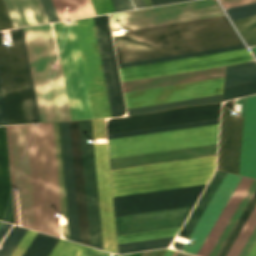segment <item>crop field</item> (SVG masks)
Here are the masks:
<instances>
[{
  "label": "crop field",
  "mask_w": 256,
  "mask_h": 256,
  "mask_svg": "<svg viewBox=\"0 0 256 256\" xmlns=\"http://www.w3.org/2000/svg\"><path fill=\"white\" fill-rule=\"evenodd\" d=\"M42 125L43 127H38ZM42 125H32L38 128H32L31 125L6 126L11 186H15V181L16 186H21L23 223L36 227L37 222V228L24 224L22 226L60 237L58 220L60 209L53 128L52 123ZM15 127H28L36 222L27 128L11 129L15 169L14 181L10 128ZM12 189L17 191L18 197V187H12ZM21 196L19 192L20 209ZM17 197L16 192H12L14 220L15 224L19 225L20 209L18 220Z\"/></svg>",
  "instance_id": "obj_1"
},
{
  "label": "crop field",
  "mask_w": 256,
  "mask_h": 256,
  "mask_svg": "<svg viewBox=\"0 0 256 256\" xmlns=\"http://www.w3.org/2000/svg\"><path fill=\"white\" fill-rule=\"evenodd\" d=\"M232 27V26H231ZM225 16L132 31L113 38L118 63L240 45Z\"/></svg>",
  "instance_id": "obj_2"
},
{
  "label": "crop field",
  "mask_w": 256,
  "mask_h": 256,
  "mask_svg": "<svg viewBox=\"0 0 256 256\" xmlns=\"http://www.w3.org/2000/svg\"><path fill=\"white\" fill-rule=\"evenodd\" d=\"M23 30L41 122L71 120L50 24Z\"/></svg>",
  "instance_id": "obj_3"
},
{
  "label": "crop field",
  "mask_w": 256,
  "mask_h": 256,
  "mask_svg": "<svg viewBox=\"0 0 256 256\" xmlns=\"http://www.w3.org/2000/svg\"><path fill=\"white\" fill-rule=\"evenodd\" d=\"M216 156L111 171L113 197L207 183Z\"/></svg>",
  "instance_id": "obj_4"
},
{
  "label": "crop field",
  "mask_w": 256,
  "mask_h": 256,
  "mask_svg": "<svg viewBox=\"0 0 256 256\" xmlns=\"http://www.w3.org/2000/svg\"><path fill=\"white\" fill-rule=\"evenodd\" d=\"M12 46L2 44L0 34V78L9 124L39 123L22 28L10 31Z\"/></svg>",
  "instance_id": "obj_5"
},
{
  "label": "crop field",
  "mask_w": 256,
  "mask_h": 256,
  "mask_svg": "<svg viewBox=\"0 0 256 256\" xmlns=\"http://www.w3.org/2000/svg\"><path fill=\"white\" fill-rule=\"evenodd\" d=\"M219 124L111 139L110 158L217 143Z\"/></svg>",
  "instance_id": "obj_6"
},
{
  "label": "crop field",
  "mask_w": 256,
  "mask_h": 256,
  "mask_svg": "<svg viewBox=\"0 0 256 256\" xmlns=\"http://www.w3.org/2000/svg\"><path fill=\"white\" fill-rule=\"evenodd\" d=\"M65 26L74 25V20L64 22ZM63 22L55 23L54 31L58 52L67 92V98L72 120L92 118L77 39L76 28L70 26L65 34L66 39L60 38L67 27Z\"/></svg>",
  "instance_id": "obj_7"
},
{
  "label": "crop field",
  "mask_w": 256,
  "mask_h": 256,
  "mask_svg": "<svg viewBox=\"0 0 256 256\" xmlns=\"http://www.w3.org/2000/svg\"><path fill=\"white\" fill-rule=\"evenodd\" d=\"M223 15L215 0H201L109 15L112 31L132 30Z\"/></svg>",
  "instance_id": "obj_8"
},
{
  "label": "crop field",
  "mask_w": 256,
  "mask_h": 256,
  "mask_svg": "<svg viewBox=\"0 0 256 256\" xmlns=\"http://www.w3.org/2000/svg\"><path fill=\"white\" fill-rule=\"evenodd\" d=\"M93 118L111 117L92 17L75 20Z\"/></svg>",
  "instance_id": "obj_9"
},
{
  "label": "crop field",
  "mask_w": 256,
  "mask_h": 256,
  "mask_svg": "<svg viewBox=\"0 0 256 256\" xmlns=\"http://www.w3.org/2000/svg\"><path fill=\"white\" fill-rule=\"evenodd\" d=\"M247 49L119 69L122 82L227 66L252 60Z\"/></svg>",
  "instance_id": "obj_10"
},
{
  "label": "crop field",
  "mask_w": 256,
  "mask_h": 256,
  "mask_svg": "<svg viewBox=\"0 0 256 256\" xmlns=\"http://www.w3.org/2000/svg\"><path fill=\"white\" fill-rule=\"evenodd\" d=\"M221 104L183 107L156 113L110 119L107 133H118L219 118Z\"/></svg>",
  "instance_id": "obj_11"
},
{
  "label": "crop field",
  "mask_w": 256,
  "mask_h": 256,
  "mask_svg": "<svg viewBox=\"0 0 256 256\" xmlns=\"http://www.w3.org/2000/svg\"><path fill=\"white\" fill-rule=\"evenodd\" d=\"M204 186L113 198L115 216L194 205Z\"/></svg>",
  "instance_id": "obj_12"
},
{
  "label": "crop field",
  "mask_w": 256,
  "mask_h": 256,
  "mask_svg": "<svg viewBox=\"0 0 256 256\" xmlns=\"http://www.w3.org/2000/svg\"><path fill=\"white\" fill-rule=\"evenodd\" d=\"M223 77L124 93L126 107H136L222 92Z\"/></svg>",
  "instance_id": "obj_13"
},
{
  "label": "crop field",
  "mask_w": 256,
  "mask_h": 256,
  "mask_svg": "<svg viewBox=\"0 0 256 256\" xmlns=\"http://www.w3.org/2000/svg\"><path fill=\"white\" fill-rule=\"evenodd\" d=\"M91 246L103 250L91 120L79 121Z\"/></svg>",
  "instance_id": "obj_14"
},
{
  "label": "crop field",
  "mask_w": 256,
  "mask_h": 256,
  "mask_svg": "<svg viewBox=\"0 0 256 256\" xmlns=\"http://www.w3.org/2000/svg\"><path fill=\"white\" fill-rule=\"evenodd\" d=\"M112 117L125 113L107 15L93 17Z\"/></svg>",
  "instance_id": "obj_15"
},
{
  "label": "crop field",
  "mask_w": 256,
  "mask_h": 256,
  "mask_svg": "<svg viewBox=\"0 0 256 256\" xmlns=\"http://www.w3.org/2000/svg\"><path fill=\"white\" fill-rule=\"evenodd\" d=\"M233 100L222 107L217 169L238 174L243 118L232 117Z\"/></svg>",
  "instance_id": "obj_16"
},
{
  "label": "crop field",
  "mask_w": 256,
  "mask_h": 256,
  "mask_svg": "<svg viewBox=\"0 0 256 256\" xmlns=\"http://www.w3.org/2000/svg\"><path fill=\"white\" fill-rule=\"evenodd\" d=\"M192 206L115 217L117 235L182 226Z\"/></svg>",
  "instance_id": "obj_17"
},
{
  "label": "crop field",
  "mask_w": 256,
  "mask_h": 256,
  "mask_svg": "<svg viewBox=\"0 0 256 256\" xmlns=\"http://www.w3.org/2000/svg\"><path fill=\"white\" fill-rule=\"evenodd\" d=\"M104 250L116 253L106 144H94Z\"/></svg>",
  "instance_id": "obj_18"
},
{
  "label": "crop field",
  "mask_w": 256,
  "mask_h": 256,
  "mask_svg": "<svg viewBox=\"0 0 256 256\" xmlns=\"http://www.w3.org/2000/svg\"><path fill=\"white\" fill-rule=\"evenodd\" d=\"M241 177L226 173L220 186L215 192L201 219L196 225L189 239L195 241L193 245H184L183 250L197 253L207 234L230 198Z\"/></svg>",
  "instance_id": "obj_19"
},
{
  "label": "crop field",
  "mask_w": 256,
  "mask_h": 256,
  "mask_svg": "<svg viewBox=\"0 0 256 256\" xmlns=\"http://www.w3.org/2000/svg\"><path fill=\"white\" fill-rule=\"evenodd\" d=\"M14 28L48 22L39 0H3ZM0 0V30L13 28Z\"/></svg>",
  "instance_id": "obj_20"
},
{
  "label": "crop field",
  "mask_w": 256,
  "mask_h": 256,
  "mask_svg": "<svg viewBox=\"0 0 256 256\" xmlns=\"http://www.w3.org/2000/svg\"><path fill=\"white\" fill-rule=\"evenodd\" d=\"M239 174L256 178V96L246 98Z\"/></svg>",
  "instance_id": "obj_21"
},
{
  "label": "crop field",
  "mask_w": 256,
  "mask_h": 256,
  "mask_svg": "<svg viewBox=\"0 0 256 256\" xmlns=\"http://www.w3.org/2000/svg\"><path fill=\"white\" fill-rule=\"evenodd\" d=\"M217 144L110 159V167L121 168L216 154Z\"/></svg>",
  "instance_id": "obj_22"
},
{
  "label": "crop field",
  "mask_w": 256,
  "mask_h": 256,
  "mask_svg": "<svg viewBox=\"0 0 256 256\" xmlns=\"http://www.w3.org/2000/svg\"><path fill=\"white\" fill-rule=\"evenodd\" d=\"M81 243L90 246L78 121L70 122Z\"/></svg>",
  "instance_id": "obj_23"
},
{
  "label": "crop field",
  "mask_w": 256,
  "mask_h": 256,
  "mask_svg": "<svg viewBox=\"0 0 256 256\" xmlns=\"http://www.w3.org/2000/svg\"><path fill=\"white\" fill-rule=\"evenodd\" d=\"M71 240L80 243L69 122H60Z\"/></svg>",
  "instance_id": "obj_24"
},
{
  "label": "crop field",
  "mask_w": 256,
  "mask_h": 256,
  "mask_svg": "<svg viewBox=\"0 0 256 256\" xmlns=\"http://www.w3.org/2000/svg\"><path fill=\"white\" fill-rule=\"evenodd\" d=\"M224 67L122 83L124 92L223 76Z\"/></svg>",
  "instance_id": "obj_25"
},
{
  "label": "crop field",
  "mask_w": 256,
  "mask_h": 256,
  "mask_svg": "<svg viewBox=\"0 0 256 256\" xmlns=\"http://www.w3.org/2000/svg\"><path fill=\"white\" fill-rule=\"evenodd\" d=\"M251 182L252 179L242 177L237 188L235 189L224 210L216 221L214 227L212 228L201 249L199 250L197 256H208Z\"/></svg>",
  "instance_id": "obj_26"
},
{
  "label": "crop field",
  "mask_w": 256,
  "mask_h": 256,
  "mask_svg": "<svg viewBox=\"0 0 256 256\" xmlns=\"http://www.w3.org/2000/svg\"><path fill=\"white\" fill-rule=\"evenodd\" d=\"M0 220L12 223L3 126H0Z\"/></svg>",
  "instance_id": "obj_27"
},
{
  "label": "crop field",
  "mask_w": 256,
  "mask_h": 256,
  "mask_svg": "<svg viewBox=\"0 0 256 256\" xmlns=\"http://www.w3.org/2000/svg\"><path fill=\"white\" fill-rule=\"evenodd\" d=\"M224 175L225 173L216 171L215 175L213 176L212 180L208 184L201 198L197 202L190 216L188 217L182 229L178 233V236L188 238L189 234L191 233L193 227L195 226L196 222L198 221L199 217L204 211L206 205L208 204L209 200L211 199L212 195L214 194Z\"/></svg>",
  "instance_id": "obj_28"
},
{
  "label": "crop field",
  "mask_w": 256,
  "mask_h": 256,
  "mask_svg": "<svg viewBox=\"0 0 256 256\" xmlns=\"http://www.w3.org/2000/svg\"><path fill=\"white\" fill-rule=\"evenodd\" d=\"M53 128L59 185L60 209L61 214H63L64 217H67V225L61 226V229L63 237L70 239L59 122L53 123Z\"/></svg>",
  "instance_id": "obj_29"
},
{
  "label": "crop field",
  "mask_w": 256,
  "mask_h": 256,
  "mask_svg": "<svg viewBox=\"0 0 256 256\" xmlns=\"http://www.w3.org/2000/svg\"><path fill=\"white\" fill-rule=\"evenodd\" d=\"M256 81V62L226 67L224 88Z\"/></svg>",
  "instance_id": "obj_30"
},
{
  "label": "crop field",
  "mask_w": 256,
  "mask_h": 256,
  "mask_svg": "<svg viewBox=\"0 0 256 256\" xmlns=\"http://www.w3.org/2000/svg\"><path fill=\"white\" fill-rule=\"evenodd\" d=\"M221 102V94L127 109L128 115L149 113L193 104Z\"/></svg>",
  "instance_id": "obj_31"
},
{
  "label": "crop field",
  "mask_w": 256,
  "mask_h": 256,
  "mask_svg": "<svg viewBox=\"0 0 256 256\" xmlns=\"http://www.w3.org/2000/svg\"><path fill=\"white\" fill-rule=\"evenodd\" d=\"M52 1L60 20L68 19L65 9L70 19L96 15L90 0H69L70 2H64L63 0ZM68 3H72L73 7H68L65 9H57L56 7V5Z\"/></svg>",
  "instance_id": "obj_32"
},
{
  "label": "crop field",
  "mask_w": 256,
  "mask_h": 256,
  "mask_svg": "<svg viewBox=\"0 0 256 256\" xmlns=\"http://www.w3.org/2000/svg\"><path fill=\"white\" fill-rule=\"evenodd\" d=\"M255 190H256V181L253 180L252 184L250 185L249 189L244 195L242 201L240 202L239 206L237 207L236 211L234 212L233 216L231 217L230 221L228 222L227 226L225 227L224 231L222 232L221 236L219 237L217 243L215 244L209 256H217L222 245L224 244L225 240L227 239L228 235L230 234L231 230L233 229L240 215L244 211L245 207L247 206Z\"/></svg>",
  "instance_id": "obj_33"
},
{
  "label": "crop field",
  "mask_w": 256,
  "mask_h": 256,
  "mask_svg": "<svg viewBox=\"0 0 256 256\" xmlns=\"http://www.w3.org/2000/svg\"><path fill=\"white\" fill-rule=\"evenodd\" d=\"M16 226V225H15ZM11 229L9 234L6 236L4 241L2 242V246L0 248V256H10L11 253L14 251L22 237L27 232V229L15 227ZM11 227L10 224L4 223L2 228L0 229V241L8 231V229Z\"/></svg>",
  "instance_id": "obj_34"
},
{
  "label": "crop field",
  "mask_w": 256,
  "mask_h": 256,
  "mask_svg": "<svg viewBox=\"0 0 256 256\" xmlns=\"http://www.w3.org/2000/svg\"><path fill=\"white\" fill-rule=\"evenodd\" d=\"M39 233H37L22 256H48L59 241V238Z\"/></svg>",
  "instance_id": "obj_35"
},
{
  "label": "crop field",
  "mask_w": 256,
  "mask_h": 256,
  "mask_svg": "<svg viewBox=\"0 0 256 256\" xmlns=\"http://www.w3.org/2000/svg\"><path fill=\"white\" fill-rule=\"evenodd\" d=\"M174 236L118 245L119 253L168 247Z\"/></svg>",
  "instance_id": "obj_36"
},
{
  "label": "crop field",
  "mask_w": 256,
  "mask_h": 256,
  "mask_svg": "<svg viewBox=\"0 0 256 256\" xmlns=\"http://www.w3.org/2000/svg\"><path fill=\"white\" fill-rule=\"evenodd\" d=\"M179 228L180 227L135 233V234L120 235V236H117V242L118 244H121V243L134 242V241H140V240H146V239L172 236V235H176Z\"/></svg>",
  "instance_id": "obj_37"
},
{
  "label": "crop field",
  "mask_w": 256,
  "mask_h": 256,
  "mask_svg": "<svg viewBox=\"0 0 256 256\" xmlns=\"http://www.w3.org/2000/svg\"><path fill=\"white\" fill-rule=\"evenodd\" d=\"M255 204H256V192H255L254 196L252 197L251 201L249 202L248 206L246 207L245 211L241 215L240 219L238 220L237 224L235 225L234 229L232 230L231 234L229 235L228 239L226 240L225 244L223 245L218 256H226L227 255L229 249L231 248L236 237L238 236L240 230L242 229L244 223L246 222V220H247L248 216L250 215L252 209L254 208Z\"/></svg>",
  "instance_id": "obj_38"
},
{
  "label": "crop field",
  "mask_w": 256,
  "mask_h": 256,
  "mask_svg": "<svg viewBox=\"0 0 256 256\" xmlns=\"http://www.w3.org/2000/svg\"><path fill=\"white\" fill-rule=\"evenodd\" d=\"M245 48L244 45L118 64L119 68Z\"/></svg>",
  "instance_id": "obj_39"
},
{
  "label": "crop field",
  "mask_w": 256,
  "mask_h": 256,
  "mask_svg": "<svg viewBox=\"0 0 256 256\" xmlns=\"http://www.w3.org/2000/svg\"><path fill=\"white\" fill-rule=\"evenodd\" d=\"M216 123H219V119L195 122V123H188V124H181V125H174V126H167V127H160V128H153V129H146V130H139V131H132V132H125V133H118V134H111V135H108V139L132 136V135H139V134H146V133H153V132H160V131H167V130H174V129H181V128H188V127H195V126H202V125H209V124H216Z\"/></svg>",
  "instance_id": "obj_40"
},
{
  "label": "crop field",
  "mask_w": 256,
  "mask_h": 256,
  "mask_svg": "<svg viewBox=\"0 0 256 256\" xmlns=\"http://www.w3.org/2000/svg\"><path fill=\"white\" fill-rule=\"evenodd\" d=\"M256 225V206L237 237L227 256H237ZM249 239V238H248ZM246 244V243H245Z\"/></svg>",
  "instance_id": "obj_41"
},
{
  "label": "crop field",
  "mask_w": 256,
  "mask_h": 256,
  "mask_svg": "<svg viewBox=\"0 0 256 256\" xmlns=\"http://www.w3.org/2000/svg\"><path fill=\"white\" fill-rule=\"evenodd\" d=\"M233 23L249 46L256 45V16L234 20Z\"/></svg>",
  "instance_id": "obj_42"
},
{
  "label": "crop field",
  "mask_w": 256,
  "mask_h": 256,
  "mask_svg": "<svg viewBox=\"0 0 256 256\" xmlns=\"http://www.w3.org/2000/svg\"><path fill=\"white\" fill-rule=\"evenodd\" d=\"M86 246L60 239L49 256H81Z\"/></svg>",
  "instance_id": "obj_43"
},
{
  "label": "crop field",
  "mask_w": 256,
  "mask_h": 256,
  "mask_svg": "<svg viewBox=\"0 0 256 256\" xmlns=\"http://www.w3.org/2000/svg\"><path fill=\"white\" fill-rule=\"evenodd\" d=\"M256 93V82L224 89L223 100Z\"/></svg>",
  "instance_id": "obj_44"
},
{
  "label": "crop field",
  "mask_w": 256,
  "mask_h": 256,
  "mask_svg": "<svg viewBox=\"0 0 256 256\" xmlns=\"http://www.w3.org/2000/svg\"><path fill=\"white\" fill-rule=\"evenodd\" d=\"M231 20L256 15V3L226 10Z\"/></svg>",
  "instance_id": "obj_45"
},
{
  "label": "crop field",
  "mask_w": 256,
  "mask_h": 256,
  "mask_svg": "<svg viewBox=\"0 0 256 256\" xmlns=\"http://www.w3.org/2000/svg\"><path fill=\"white\" fill-rule=\"evenodd\" d=\"M115 11L134 9L130 0H111ZM135 8L145 7L142 0H132Z\"/></svg>",
  "instance_id": "obj_46"
},
{
  "label": "crop field",
  "mask_w": 256,
  "mask_h": 256,
  "mask_svg": "<svg viewBox=\"0 0 256 256\" xmlns=\"http://www.w3.org/2000/svg\"><path fill=\"white\" fill-rule=\"evenodd\" d=\"M97 15L115 12L110 0H91Z\"/></svg>",
  "instance_id": "obj_47"
},
{
  "label": "crop field",
  "mask_w": 256,
  "mask_h": 256,
  "mask_svg": "<svg viewBox=\"0 0 256 256\" xmlns=\"http://www.w3.org/2000/svg\"><path fill=\"white\" fill-rule=\"evenodd\" d=\"M35 235H36V232L28 230V232L23 237V239L21 240V242L19 243V245L17 246V248L15 249V251L12 253L11 256H21Z\"/></svg>",
  "instance_id": "obj_48"
},
{
  "label": "crop field",
  "mask_w": 256,
  "mask_h": 256,
  "mask_svg": "<svg viewBox=\"0 0 256 256\" xmlns=\"http://www.w3.org/2000/svg\"><path fill=\"white\" fill-rule=\"evenodd\" d=\"M49 22L59 20L51 0H40Z\"/></svg>",
  "instance_id": "obj_49"
},
{
  "label": "crop field",
  "mask_w": 256,
  "mask_h": 256,
  "mask_svg": "<svg viewBox=\"0 0 256 256\" xmlns=\"http://www.w3.org/2000/svg\"><path fill=\"white\" fill-rule=\"evenodd\" d=\"M92 125L94 138H106L104 119L92 120Z\"/></svg>",
  "instance_id": "obj_50"
},
{
  "label": "crop field",
  "mask_w": 256,
  "mask_h": 256,
  "mask_svg": "<svg viewBox=\"0 0 256 256\" xmlns=\"http://www.w3.org/2000/svg\"><path fill=\"white\" fill-rule=\"evenodd\" d=\"M224 8H232L240 5L256 2V0H220Z\"/></svg>",
  "instance_id": "obj_51"
},
{
  "label": "crop field",
  "mask_w": 256,
  "mask_h": 256,
  "mask_svg": "<svg viewBox=\"0 0 256 256\" xmlns=\"http://www.w3.org/2000/svg\"><path fill=\"white\" fill-rule=\"evenodd\" d=\"M4 124H8V122H7V116H6L2 89L0 84V125H4Z\"/></svg>",
  "instance_id": "obj_52"
},
{
  "label": "crop field",
  "mask_w": 256,
  "mask_h": 256,
  "mask_svg": "<svg viewBox=\"0 0 256 256\" xmlns=\"http://www.w3.org/2000/svg\"><path fill=\"white\" fill-rule=\"evenodd\" d=\"M255 239H256V227L254 228L253 232L251 233L249 239L247 240L246 244L244 245L243 249L241 250L238 256H246L247 252L249 251Z\"/></svg>",
  "instance_id": "obj_53"
},
{
  "label": "crop field",
  "mask_w": 256,
  "mask_h": 256,
  "mask_svg": "<svg viewBox=\"0 0 256 256\" xmlns=\"http://www.w3.org/2000/svg\"><path fill=\"white\" fill-rule=\"evenodd\" d=\"M82 256H109V253L87 247Z\"/></svg>",
  "instance_id": "obj_54"
},
{
  "label": "crop field",
  "mask_w": 256,
  "mask_h": 256,
  "mask_svg": "<svg viewBox=\"0 0 256 256\" xmlns=\"http://www.w3.org/2000/svg\"><path fill=\"white\" fill-rule=\"evenodd\" d=\"M182 1H188V0H151L153 6L175 3V2H182Z\"/></svg>",
  "instance_id": "obj_55"
},
{
  "label": "crop field",
  "mask_w": 256,
  "mask_h": 256,
  "mask_svg": "<svg viewBox=\"0 0 256 256\" xmlns=\"http://www.w3.org/2000/svg\"><path fill=\"white\" fill-rule=\"evenodd\" d=\"M247 256H256V240L251 247L250 251L248 252Z\"/></svg>",
  "instance_id": "obj_56"
},
{
  "label": "crop field",
  "mask_w": 256,
  "mask_h": 256,
  "mask_svg": "<svg viewBox=\"0 0 256 256\" xmlns=\"http://www.w3.org/2000/svg\"><path fill=\"white\" fill-rule=\"evenodd\" d=\"M173 247L178 249V250H181L182 246H183V243H179V242H173Z\"/></svg>",
  "instance_id": "obj_57"
},
{
  "label": "crop field",
  "mask_w": 256,
  "mask_h": 256,
  "mask_svg": "<svg viewBox=\"0 0 256 256\" xmlns=\"http://www.w3.org/2000/svg\"><path fill=\"white\" fill-rule=\"evenodd\" d=\"M173 253H174L173 250L167 249V251L165 252V254L163 256H172Z\"/></svg>",
  "instance_id": "obj_58"
},
{
  "label": "crop field",
  "mask_w": 256,
  "mask_h": 256,
  "mask_svg": "<svg viewBox=\"0 0 256 256\" xmlns=\"http://www.w3.org/2000/svg\"><path fill=\"white\" fill-rule=\"evenodd\" d=\"M146 7L151 6L149 0H143Z\"/></svg>",
  "instance_id": "obj_59"
},
{
  "label": "crop field",
  "mask_w": 256,
  "mask_h": 256,
  "mask_svg": "<svg viewBox=\"0 0 256 256\" xmlns=\"http://www.w3.org/2000/svg\"><path fill=\"white\" fill-rule=\"evenodd\" d=\"M181 256H191V255H187V254L182 253V255H181Z\"/></svg>",
  "instance_id": "obj_60"
},
{
  "label": "crop field",
  "mask_w": 256,
  "mask_h": 256,
  "mask_svg": "<svg viewBox=\"0 0 256 256\" xmlns=\"http://www.w3.org/2000/svg\"><path fill=\"white\" fill-rule=\"evenodd\" d=\"M178 254V252L177 251H175V253L173 254V256H176Z\"/></svg>",
  "instance_id": "obj_61"
},
{
  "label": "crop field",
  "mask_w": 256,
  "mask_h": 256,
  "mask_svg": "<svg viewBox=\"0 0 256 256\" xmlns=\"http://www.w3.org/2000/svg\"><path fill=\"white\" fill-rule=\"evenodd\" d=\"M252 49H253V51L256 53V47H253Z\"/></svg>",
  "instance_id": "obj_62"
},
{
  "label": "crop field",
  "mask_w": 256,
  "mask_h": 256,
  "mask_svg": "<svg viewBox=\"0 0 256 256\" xmlns=\"http://www.w3.org/2000/svg\"><path fill=\"white\" fill-rule=\"evenodd\" d=\"M2 225H3V222H0V228H1Z\"/></svg>",
  "instance_id": "obj_63"
},
{
  "label": "crop field",
  "mask_w": 256,
  "mask_h": 256,
  "mask_svg": "<svg viewBox=\"0 0 256 256\" xmlns=\"http://www.w3.org/2000/svg\"><path fill=\"white\" fill-rule=\"evenodd\" d=\"M181 255V252H179V254L177 256H180Z\"/></svg>",
  "instance_id": "obj_64"
}]
</instances>
